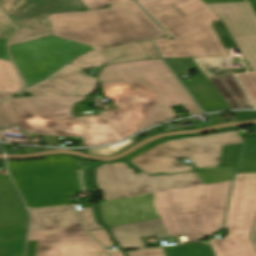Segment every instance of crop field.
I'll use <instances>...</instances> for the list:
<instances>
[{
	"label": "crop field",
	"instance_id": "92a150f3",
	"mask_svg": "<svg viewBox=\"0 0 256 256\" xmlns=\"http://www.w3.org/2000/svg\"><path fill=\"white\" fill-rule=\"evenodd\" d=\"M237 76L256 105V72L239 74Z\"/></svg>",
	"mask_w": 256,
	"mask_h": 256
},
{
	"label": "crop field",
	"instance_id": "d1516ede",
	"mask_svg": "<svg viewBox=\"0 0 256 256\" xmlns=\"http://www.w3.org/2000/svg\"><path fill=\"white\" fill-rule=\"evenodd\" d=\"M25 209L10 178L0 179V256H23Z\"/></svg>",
	"mask_w": 256,
	"mask_h": 256
},
{
	"label": "crop field",
	"instance_id": "00972430",
	"mask_svg": "<svg viewBox=\"0 0 256 256\" xmlns=\"http://www.w3.org/2000/svg\"><path fill=\"white\" fill-rule=\"evenodd\" d=\"M15 28L0 12V38L8 39L9 35L14 32Z\"/></svg>",
	"mask_w": 256,
	"mask_h": 256
},
{
	"label": "crop field",
	"instance_id": "d8731c3e",
	"mask_svg": "<svg viewBox=\"0 0 256 256\" xmlns=\"http://www.w3.org/2000/svg\"><path fill=\"white\" fill-rule=\"evenodd\" d=\"M122 79L131 89L142 88L172 119L170 108L182 105L190 115L202 113L161 59L110 64L98 74L99 82Z\"/></svg>",
	"mask_w": 256,
	"mask_h": 256
},
{
	"label": "crop field",
	"instance_id": "412701ff",
	"mask_svg": "<svg viewBox=\"0 0 256 256\" xmlns=\"http://www.w3.org/2000/svg\"><path fill=\"white\" fill-rule=\"evenodd\" d=\"M242 142L238 131L169 141L159 139L124 157L147 173L167 174L191 171L175 158L188 156L199 167L203 183L232 179L237 167H217L220 163L221 146Z\"/></svg>",
	"mask_w": 256,
	"mask_h": 256
},
{
	"label": "crop field",
	"instance_id": "22f410ed",
	"mask_svg": "<svg viewBox=\"0 0 256 256\" xmlns=\"http://www.w3.org/2000/svg\"><path fill=\"white\" fill-rule=\"evenodd\" d=\"M225 23L236 44L256 70V18L244 0H203Z\"/></svg>",
	"mask_w": 256,
	"mask_h": 256
},
{
	"label": "crop field",
	"instance_id": "1d83c4d3",
	"mask_svg": "<svg viewBox=\"0 0 256 256\" xmlns=\"http://www.w3.org/2000/svg\"><path fill=\"white\" fill-rule=\"evenodd\" d=\"M110 254L111 256H125L122 251L110 252Z\"/></svg>",
	"mask_w": 256,
	"mask_h": 256
},
{
	"label": "crop field",
	"instance_id": "730fd06b",
	"mask_svg": "<svg viewBox=\"0 0 256 256\" xmlns=\"http://www.w3.org/2000/svg\"><path fill=\"white\" fill-rule=\"evenodd\" d=\"M15 125H17V123L0 105V127H13Z\"/></svg>",
	"mask_w": 256,
	"mask_h": 256
},
{
	"label": "crop field",
	"instance_id": "5a996713",
	"mask_svg": "<svg viewBox=\"0 0 256 256\" xmlns=\"http://www.w3.org/2000/svg\"><path fill=\"white\" fill-rule=\"evenodd\" d=\"M256 217V173L237 174L223 240L210 239L216 256H256L249 236Z\"/></svg>",
	"mask_w": 256,
	"mask_h": 256
},
{
	"label": "crop field",
	"instance_id": "5866460e",
	"mask_svg": "<svg viewBox=\"0 0 256 256\" xmlns=\"http://www.w3.org/2000/svg\"><path fill=\"white\" fill-rule=\"evenodd\" d=\"M77 120H79L78 118H77ZM80 121V120H79ZM81 122V121H80ZM82 123V122H81ZM84 137V136H83Z\"/></svg>",
	"mask_w": 256,
	"mask_h": 256
},
{
	"label": "crop field",
	"instance_id": "cbeb9de0",
	"mask_svg": "<svg viewBox=\"0 0 256 256\" xmlns=\"http://www.w3.org/2000/svg\"><path fill=\"white\" fill-rule=\"evenodd\" d=\"M83 70L68 65L47 80L27 89L35 96H88L95 89L96 77L80 74Z\"/></svg>",
	"mask_w": 256,
	"mask_h": 256
},
{
	"label": "crop field",
	"instance_id": "f4fd0767",
	"mask_svg": "<svg viewBox=\"0 0 256 256\" xmlns=\"http://www.w3.org/2000/svg\"><path fill=\"white\" fill-rule=\"evenodd\" d=\"M86 97L12 98L1 105L24 132L68 137H82L85 126L70 111ZM86 126L83 142L86 147L118 140L103 115L79 118Z\"/></svg>",
	"mask_w": 256,
	"mask_h": 256
},
{
	"label": "crop field",
	"instance_id": "bc2a9ffb",
	"mask_svg": "<svg viewBox=\"0 0 256 256\" xmlns=\"http://www.w3.org/2000/svg\"><path fill=\"white\" fill-rule=\"evenodd\" d=\"M23 87V82L12 62L0 60V90L17 93Z\"/></svg>",
	"mask_w": 256,
	"mask_h": 256
},
{
	"label": "crop field",
	"instance_id": "a9b5d70f",
	"mask_svg": "<svg viewBox=\"0 0 256 256\" xmlns=\"http://www.w3.org/2000/svg\"><path fill=\"white\" fill-rule=\"evenodd\" d=\"M82 163H83L82 160L75 158V171H76V176H77L79 187L81 190H86L85 185H84V179H83V170L91 162H89L83 166H82Z\"/></svg>",
	"mask_w": 256,
	"mask_h": 256
},
{
	"label": "crop field",
	"instance_id": "733c2abd",
	"mask_svg": "<svg viewBox=\"0 0 256 256\" xmlns=\"http://www.w3.org/2000/svg\"><path fill=\"white\" fill-rule=\"evenodd\" d=\"M127 256H213L209 246H198L197 243L178 247L154 248L126 252Z\"/></svg>",
	"mask_w": 256,
	"mask_h": 256
},
{
	"label": "crop field",
	"instance_id": "34b2d1b8",
	"mask_svg": "<svg viewBox=\"0 0 256 256\" xmlns=\"http://www.w3.org/2000/svg\"><path fill=\"white\" fill-rule=\"evenodd\" d=\"M109 6L50 14L53 35L96 47L167 35L133 0Z\"/></svg>",
	"mask_w": 256,
	"mask_h": 256
},
{
	"label": "crop field",
	"instance_id": "8a807250",
	"mask_svg": "<svg viewBox=\"0 0 256 256\" xmlns=\"http://www.w3.org/2000/svg\"><path fill=\"white\" fill-rule=\"evenodd\" d=\"M95 182L104 195L102 219L122 249L146 247L142 238L152 236H211L222 227L231 185L204 186L195 172L136 175L124 160L97 165Z\"/></svg>",
	"mask_w": 256,
	"mask_h": 256
},
{
	"label": "crop field",
	"instance_id": "e52e79f7",
	"mask_svg": "<svg viewBox=\"0 0 256 256\" xmlns=\"http://www.w3.org/2000/svg\"><path fill=\"white\" fill-rule=\"evenodd\" d=\"M8 165L29 208L72 204L69 196L80 191L72 156L51 155L40 160L8 162Z\"/></svg>",
	"mask_w": 256,
	"mask_h": 256
},
{
	"label": "crop field",
	"instance_id": "d32e631a",
	"mask_svg": "<svg viewBox=\"0 0 256 256\" xmlns=\"http://www.w3.org/2000/svg\"><path fill=\"white\" fill-rule=\"evenodd\" d=\"M0 141H5V140L0 136Z\"/></svg>",
	"mask_w": 256,
	"mask_h": 256
},
{
	"label": "crop field",
	"instance_id": "120bbe31",
	"mask_svg": "<svg viewBox=\"0 0 256 256\" xmlns=\"http://www.w3.org/2000/svg\"><path fill=\"white\" fill-rule=\"evenodd\" d=\"M81 207H93V205L91 203H89V204H81Z\"/></svg>",
	"mask_w": 256,
	"mask_h": 256
},
{
	"label": "crop field",
	"instance_id": "bd1437ed",
	"mask_svg": "<svg viewBox=\"0 0 256 256\" xmlns=\"http://www.w3.org/2000/svg\"><path fill=\"white\" fill-rule=\"evenodd\" d=\"M12 95H13V93H7V92L0 91V100L6 99Z\"/></svg>",
	"mask_w": 256,
	"mask_h": 256
},
{
	"label": "crop field",
	"instance_id": "eef30255",
	"mask_svg": "<svg viewBox=\"0 0 256 256\" xmlns=\"http://www.w3.org/2000/svg\"><path fill=\"white\" fill-rule=\"evenodd\" d=\"M89 9L99 8L110 3L125 1V0H82ZM82 2V3H83Z\"/></svg>",
	"mask_w": 256,
	"mask_h": 256
},
{
	"label": "crop field",
	"instance_id": "5142ce71",
	"mask_svg": "<svg viewBox=\"0 0 256 256\" xmlns=\"http://www.w3.org/2000/svg\"><path fill=\"white\" fill-rule=\"evenodd\" d=\"M175 74L181 79V75L189 74L188 71L196 70L200 76L192 77L194 81L183 84L199 102L206 113L230 109L217 90L205 77L192 58L165 59Z\"/></svg>",
	"mask_w": 256,
	"mask_h": 256
},
{
	"label": "crop field",
	"instance_id": "750c4746",
	"mask_svg": "<svg viewBox=\"0 0 256 256\" xmlns=\"http://www.w3.org/2000/svg\"><path fill=\"white\" fill-rule=\"evenodd\" d=\"M250 240H251L254 248H256V220H255L254 225H253V229H252V233H251V236H250Z\"/></svg>",
	"mask_w": 256,
	"mask_h": 256
},
{
	"label": "crop field",
	"instance_id": "d3111659",
	"mask_svg": "<svg viewBox=\"0 0 256 256\" xmlns=\"http://www.w3.org/2000/svg\"><path fill=\"white\" fill-rule=\"evenodd\" d=\"M237 113L239 118L256 117V112L254 111H237Z\"/></svg>",
	"mask_w": 256,
	"mask_h": 256
},
{
	"label": "crop field",
	"instance_id": "d9b57169",
	"mask_svg": "<svg viewBox=\"0 0 256 256\" xmlns=\"http://www.w3.org/2000/svg\"><path fill=\"white\" fill-rule=\"evenodd\" d=\"M208 79L222 95L231 109L253 108L250 100L240 88L231 72L220 76L209 77Z\"/></svg>",
	"mask_w": 256,
	"mask_h": 256
},
{
	"label": "crop field",
	"instance_id": "4a817a6b",
	"mask_svg": "<svg viewBox=\"0 0 256 256\" xmlns=\"http://www.w3.org/2000/svg\"><path fill=\"white\" fill-rule=\"evenodd\" d=\"M98 51L105 57L104 64L136 59H149L138 42L99 49Z\"/></svg>",
	"mask_w": 256,
	"mask_h": 256
},
{
	"label": "crop field",
	"instance_id": "3316defc",
	"mask_svg": "<svg viewBox=\"0 0 256 256\" xmlns=\"http://www.w3.org/2000/svg\"><path fill=\"white\" fill-rule=\"evenodd\" d=\"M101 86L106 97H112L118 108L104 114L122 138L170 120L142 89L131 90L122 80L103 82Z\"/></svg>",
	"mask_w": 256,
	"mask_h": 256
},
{
	"label": "crop field",
	"instance_id": "ac0d7876",
	"mask_svg": "<svg viewBox=\"0 0 256 256\" xmlns=\"http://www.w3.org/2000/svg\"><path fill=\"white\" fill-rule=\"evenodd\" d=\"M175 40H154L163 58L229 56L201 0H136Z\"/></svg>",
	"mask_w": 256,
	"mask_h": 256
},
{
	"label": "crop field",
	"instance_id": "28ad6ade",
	"mask_svg": "<svg viewBox=\"0 0 256 256\" xmlns=\"http://www.w3.org/2000/svg\"><path fill=\"white\" fill-rule=\"evenodd\" d=\"M20 30L10 45L52 35L50 13L88 9L81 0H0Z\"/></svg>",
	"mask_w": 256,
	"mask_h": 256
},
{
	"label": "crop field",
	"instance_id": "4177f3b9",
	"mask_svg": "<svg viewBox=\"0 0 256 256\" xmlns=\"http://www.w3.org/2000/svg\"><path fill=\"white\" fill-rule=\"evenodd\" d=\"M105 247L114 246L115 244L110 240L111 236L106 229L91 232Z\"/></svg>",
	"mask_w": 256,
	"mask_h": 256
},
{
	"label": "crop field",
	"instance_id": "dd49c442",
	"mask_svg": "<svg viewBox=\"0 0 256 256\" xmlns=\"http://www.w3.org/2000/svg\"><path fill=\"white\" fill-rule=\"evenodd\" d=\"M27 256H107L70 206L29 210Z\"/></svg>",
	"mask_w": 256,
	"mask_h": 256
},
{
	"label": "crop field",
	"instance_id": "ae1a2a85",
	"mask_svg": "<svg viewBox=\"0 0 256 256\" xmlns=\"http://www.w3.org/2000/svg\"><path fill=\"white\" fill-rule=\"evenodd\" d=\"M143 50L146 52V54L149 56L150 59L159 58L157 52L153 48L150 40L147 41H141L139 42Z\"/></svg>",
	"mask_w": 256,
	"mask_h": 256
},
{
	"label": "crop field",
	"instance_id": "dafd665d",
	"mask_svg": "<svg viewBox=\"0 0 256 256\" xmlns=\"http://www.w3.org/2000/svg\"><path fill=\"white\" fill-rule=\"evenodd\" d=\"M82 211H78L83 223L88 228L89 231L103 229V226L97 224L94 217L92 208H81Z\"/></svg>",
	"mask_w": 256,
	"mask_h": 256
},
{
	"label": "crop field",
	"instance_id": "214f88e0",
	"mask_svg": "<svg viewBox=\"0 0 256 256\" xmlns=\"http://www.w3.org/2000/svg\"><path fill=\"white\" fill-rule=\"evenodd\" d=\"M104 57L97 51L94 50L84 56L75 59L72 64L79 66L84 69L103 65Z\"/></svg>",
	"mask_w": 256,
	"mask_h": 256
}]
</instances>
